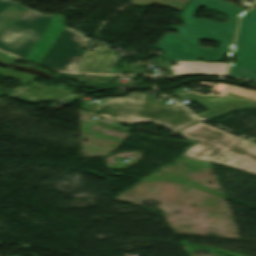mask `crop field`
<instances>
[{"label": "crop field", "instance_id": "8a807250", "mask_svg": "<svg viewBox=\"0 0 256 256\" xmlns=\"http://www.w3.org/2000/svg\"><path fill=\"white\" fill-rule=\"evenodd\" d=\"M64 21L58 14H40L0 0V50L39 64L65 27Z\"/></svg>", "mask_w": 256, "mask_h": 256}, {"label": "crop field", "instance_id": "3316defc", "mask_svg": "<svg viewBox=\"0 0 256 256\" xmlns=\"http://www.w3.org/2000/svg\"><path fill=\"white\" fill-rule=\"evenodd\" d=\"M178 66H170L174 70L172 75L183 74H211L226 75L228 64L225 63H204V62H186L176 61Z\"/></svg>", "mask_w": 256, "mask_h": 256}, {"label": "crop field", "instance_id": "d8731c3e", "mask_svg": "<svg viewBox=\"0 0 256 256\" xmlns=\"http://www.w3.org/2000/svg\"><path fill=\"white\" fill-rule=\"evenodd\" d=\"M233 55L256 57V11L242 17Z\"/></svg>", "mask_w": 256, "mask_h": 256}, {"label": "crop field", "instance_id": "5a996713", "mask_svg": "<svg viewBox=\"0 0 256 256\" xmlns=\"http://www.w3.org/2000/svg\"><path fill=\"white\" fill-rule=\"evenodd\" d=\"M110 48V45L104 48H98L88 54L83 59L79 68L76 72L80 73H104L107 72L110 65L115 59V56L110 55L107 50Z\"/></svg>", "mask_w": 256, "mask_h": 256}, {"label": "crop field", "instance_id": "22f410ed", "mask_svg": "<svg viewBox=\"0 0 256 256\" xmlns=\"http://www.w3.org/2000/svg\"><path fill=\"white\" fill-rule=\"evenodd\" d=\"M188 0H131L130 3L141 6L149 3H158L174 10L180 11Z\"/></svg>", "mask_w": 256, "mask_h": 256}, {"label": "crop field", "instance_id": "e52e79f7", "mask_svg": "<svg viewBox=\"0 0 256 256\" xmlns=\"http://www.w3.org/2000/svg\"><path fill=\"white\" fill-rule=\"evenodd\" d=\"M181 96L190 99L208 109V112L197 115L198 117L207 120L237 109L241 108H251L256 109V103H249L238 99L232 98H223L217 96H198L196 94L185 93L181 94ZM220 101L219 104H215L214 101ZM215 109L216 111H212Z\"/></svg>", "mask_w": 256, "mask_h": 256}, {"label": "crop field", "instance_id": "f4fd0767", "mask_svg": "<svg viewBox=\"0 0 256 256\" xmlns=\"http://www.w3.org/2000/svg\"><path fill=\"white\" fill-rule=\"evenodd\" d=\"M90 39L84 34L65 27L48 50L40 65L56 70L74 72L85 51H82Z\"/></svg>", "mask_w": 256, "mask_h": 256}, {"label": "crop field", "instance_id": "d1516ede", "mask_svg": "<svg viewBox=\"0 0 256 256\" xmlns=\"http://www.w3.org/2000/svg\"><path fill=\"white\" fill-rule=\"evenodd\" d=\"M229 75L256 81V58L239 57L236 63L231 64Z\"/></svg>", "mask_w": 256, "mask_h": 256}, {"label": "crop field", "instance_id": "cbeb9de0", "mask_svg": "<svg viewBox=\"0 0 256 256\" xmlns=\"http://www.w3.org/2000/svg\"><path fill=\"white\" fill-rule=\"evenodd\" d=\"M0 75H2L4 77H8V78H18L22 81L21 84H25V83L37 78V76H34V75L24 74V73L16 72V71L6 69V68H0Z\"/></svg>", "mask_w": 256, "mask_h": 256}, {"label": "crop field", "instance_id": "5142ce71", "mask_svg": "<svg viewBox=\"0 0 256 256\" xmlns=\"http://www.w3.org/2000/svg\"><path fill=\"white\" fill-rule=\"evenodd\" d=\"M0 60L5 61V62H9V63H13L19 59L12 57V56H8L6 54L0 53Z\"/></svg>", "mask_w": 256, "mask_h": 256}, {"label": "crop field", "instance_id": "28ad6ade", "mask_svg": "<svg viewBox=\"0 0 256 256\" xmlns=\"http://www.w3.org/2000/svg\"><path fill=\"white\" fill-rule=\"evenodd\" d=\"M30 86L42 89L43 92H40V90L35 92L29 89ZM30 86L28 87V90H30L31 92L27 91L23 93L20 97L16 98L17 101L36 104L40 101H58L71 94L70 91L59 87H47L43 84L38 83H32ZM36 94L38 95L39 99H37V97L35 96ZM50 98H52L53 100H49Z\"/></svg>", "mask_w": 256, "mask_h": 256}, {"label": "crop field", "instance_id": "412701ff", "mask_svg": "<svg viewBox=\"0 0 256 256\" xmlns=\"http://www.w3.org/2000/svg\"><path fill=\"white\" fill-rule=\"evenodd\" d=\"M201 7L217 10L227 15L228 23H214L205 18H194V14ZM244 12L245 10L224 0H192L179 15L183 24L181 26L171 25L170 28L178 30L177 37L232 43L239 17Z\"/></svg>", "mask_w": 256, "mask_h": 256}, {"label": "crop field", "instance_id": "34b2d1b8", "mask_svg": "<svg viewBox=\"0 0 256 256\" xmlns=\"http://www.w3.org/2000/svg\"><path fill=\"white\" fill-rule=\"evenodd\" d=\"M146 94L136 93L127 98L106 99L94 112L107 118L138 122L153 121L169 130H179L197 119L177 105L144 101Z\"/></svg>", "mask_w": 256, "mask_h": 256}, {"label": "crop field", "instance_id": "ac0d7876", "mask_svg": "<svg viewBox=\"0 0 256 256\" xmlns=\"http://www.w3.org/2000/svg\"><path fill=\"white\" fill-rule=\"evenodd\" d=\"M178 134L202 140L185 154L206 161L229 164L256 174V145L242 138L199 122Z\"/></svg>", "mask_w": 256, "mask_h": 256}, {"label": "crop field", "instance_id": "dd49c442", "mask_svg": "<svg viewBox=\"0 0 256 256\" xmlns=\"http://www.w3.org/2000/svg\"><path fill=\"white\" fill-rule=\"evenodd\" d=\"M200 40L176 38V34L165 33L156 48L165 51V60L196 61L198 55L204 59L222 60L230 54L232 44L220 42L218 48L199 47Z\"/></svg>", "mask_w": 256, "mask_h": 256}, {"label": "crop field", "instance_id": "d9b57169", "mask_svg": "<svg viewBox=\"0 0 256 256\" xmlns=\"http://www.w3.org/2000/svg\"><path fill=\"white\" fill-rule=\"evenodd\" d=\"M94 106L87 105V104H81V108L85 110L91 111Z\"/></svg>", "mask_w": 256, "mask_h": 256}]
</instances>
